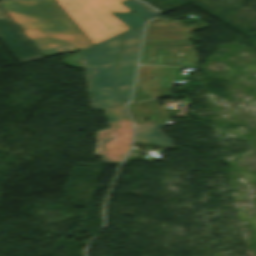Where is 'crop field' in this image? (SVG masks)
<instances>
[{
    "instance_id": "crop-field-5",
    "label": "crop field",
    "mask_w": 256,
    "mask_h": 256,
    "mask_svg": "<svg viewBox=\"0 0 256 256\" xmlns=\"http://www.w3.org/2000/svg\"><path fill=\"white\" fill-rule=\"evenodd\" d=\"M208 28L202 21L185 27L179 20L166 21L165 18H157L148 23L147 32L143 46H193L188 42L189 38L193 41H200L190 35L191 31Z\"/></svg>"
},
{
    "instance_id": "crop-field-8",
    "label": "crop field",
    "mask_w": 256,
    "mask_h": 256,
    "mask_svg": "<svg viewBox=\"0 0 256 256\" xmlns=\"http://www.w3.org/2000/svg\"><path fill=\"white\" fill-rule=\"evenodd\" d=\"M128 107L135 123L144 122V117L148 118L149 122L165 121L168 119L164 108L159 106L156 100L130 104Z\"/></svg>"
},
{
    "instance_id": "crop-field-11",
    "label": "crop field",
    "mask_w": 256,
    "mask_h": 256,
    "mask_svg": "<svg viewBox=\"0 0 256 256\" xmlns=\"http://www.w3.org/2000/svg\"><path fill=\"white\" fill-rule=\"evenodd\" d=\"M131 28H144L146 23L140 16L135 13H113ZM114 15V16H115Z\"/></svg>"
},
{
    "instance_id": "crop-field-6",
    "label": "crop field",
    "mask_w": 256,
    "mask_h": 256,
    "mask_svg": "<svg viewBox=\"0 0 256 256\" xmlns=\"http://www.w3.org/2000/svg\"><path fill=\"white\" fill-rule=\"evenodd\" d=\"M143 31L132 29L125 34L117 70L120 74L118 87L124 103H128L131 97Z\"/></svg>"
},
{
    "instance_id": "crop-field-9",
    "label": "crop field",
    "mask_w": 256,
    "mask_h": 256,
    "mask_svg": "<svg viewBox=\"0 0 256 256\" xmlns=\"http://www.w3.org/2000/svg\"><path fill=\"white\" fill-rule=\"evenodd\" d=\"M164 126L165 123L142 124L135 126L136 141L172 146L173 141L165 138L164 134L159 130Z\"/></svg>"
},
{
    "instance_id": "crop-field-1",
    "label": "crop field",
    "mask_w": 256,
    "mask_h": 256,
    "mask_svg": "<svg viewBox=\"0 0 256 256\" xmlns=\"http://www.w3.org/2000/svg\"><path fill=\"white\" fill-rule=\"evenodd\" d=\"M0 4L45 58L92 46L54 0H1Z\"/></svg>"
},
{
    "instance_id": "crop-field-4",
    "label": "crop field",
    "mask_w": 256,
    "mask_h": 256,
    "mask_svg": "<svg viewBox=\"0 0 256 256\" xmlns=\"http://www.w3.org/2000/svg\"><path fill=\"white\" fill-rule=\"evenodd\" d=\"M104 111L111 129L96 132V155H102L103 161H121L132 146L131 121L123 105ZM111 134H115V141H110Z\"/></svg>"
},
{
    "instance_id": "crop-field-2",
    "label": "crop field",
    "mask_w": 256,
    "mask_h": 256,
    "mask_svg": "<svg viewBox=\"0 0 256 256\" xmlns=\"http://www.w3.org/2000/svg\"><path fill=\"white\" fill-rule=\"evenodd\" d=\"M122 36L123 33L65 59L70 66L86 68L93 111L122 104L115 73Z\"/></svg>"
},
{
    "instance_id": "crop-field-7",
    "label": "crop field",
    "mask_w": 256,
    "mask_h": 256,
    "mask_svg": "<svg viewBox=\"0 0 256 256\" xmlns=\"http://www.w3.org/2000/svg\"><path fill=\"white\" fill-rule=\"evenodd\" d=\"M0 39L20 63L43 58L1 7Z\"/></svg>"
},
{
    "instance_id": "crop-field-3",
    "label": "crop field",
    "mask_w": 256,
    "mask_h": 256,
    "mask_svg": "<svg viewBox=\"0 0 256 256\" xmlns=\"http://www.w3.org/2000/svg\"><path fill=\"white\" fill-rule=\"evenodd\" d=\"M95 45L130 30L111 12H133L121 2L127 0H55Z\"/></svg>"
},
{
    "instance_id": "crop-field-10",
    "label": "crop field",
    "mask_w": 256,
    "mask_h": 256,
    "mask_svg": "<svg viewBox=\"0 0 256 256\" xmlns=\"http://www.w3.org/2000/svg\"><path fill=\"white\" fill-rule=\"evenodd\" d=\"M127 7H129L131 10H133L135 13L140 15L142 18H144L146 21L157 16L158 12L155 10L149 11L146 6H144L142 3L131 0L127 2H123Z\"/></svg>"
}]
</instances>
